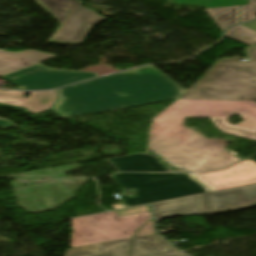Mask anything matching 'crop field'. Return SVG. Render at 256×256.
Returning a JSON list of instances; mask_svg holds the SVG:
<instances>
[{"label": "crop field", "mask_w": 256, "mask_h": 256, "mask_svg": "<svg viewBox=\"0 0 256 256\" xmlns=\"http://www.w3.org/2000/svg\"><path fill=\"white\" fill-rule=\"evenodd\" d=\"M232 112H240L256 130V102L177 99L153 118L148 148L191 172L226 168L240 160L224 149L229 141L207 139L187 129L184 121L187 116L210 117L226 131L256 137V131L224 123Z\"/></svg>", "instance_id": "8a807250"}, {"label": "crop field", "mask_w": 256, "mask_h": 256, "mask_svg": "<svg viewBox=\"0 0 256 256\" xmlns=\"http://www.w3.org/2000/svg\"><path fill=\"white\" fill-rule=\"evenodd\" d=\"M187 90L153 65L57 90L60 118L174 100ZM58 95V96H59Z\"/></svg>", "instance_id": "ac0d7876"}, {"label": "crop field", "mask_w": 256, "mask_h": 256, "mask_svg": "<svg viewBox=\"0 0 256 256\" xmlns=\"http://www.w3.org/2000/svg\"><path fill=\"white\" fill-rule=\"evenodd\" d=\"M193 175L211 189L185 174L121 173L109 178L122 189L134 188L138 197L122 196L128 206H133L256 183V163L245 160L228 169Z\"/></svg>", "instance_id": "34b2d1b8"}, {"label": "crop field", "mask_w": 256, "mask_h": 256, "mask_svg": "<svg viewBox=\"0 0 256 256\" xmlns=\"http://www.w3.org/2000/svg\"><path fill=\"white\" fill-rule=\"evenodd\" d=\"M247 55L218 59L181 98L256 100V46Z\"/></svg>", "instance_id": "412701ff"}, {"label": "crop field", "mask_w": 256, "mask_h": 256, "mask_svg": "<svg viewBox=\"0 0 256 256\" xmlns=\"http://www.w3.org/2000/svg\"><path fill=\"white\" fill-rule=\"evenodd\" d=\"M149 212L118 217L115 212L72 220L70 248L131 237Z\"/></svg>", "instance_id": "f4fd0767"}, {"label": "crop field", "mask_w": 256, "mask_h": 256, "mask_svg": "<svg viewBox=\"0 0 256 256\" xmlns=\"http://www.w3.org/2000/svg\"><path fill=\"white\" fill-rule=\"evenodd\" d=\"M98 76L96 73L52 70L38 64L1 76V78L20 89L34 90L54 88Z\"/></svg>", "instance_id": "dd49c442"}, {"label": "crop field", "mask_w": 256, "mask_h": 256, "mask_svg": "<svg viewBox=\"0 0 256 256\" xmlns=\"http://www.w3.org/2000/svg\"><path fill=\"white\" fill-rule=\"evenodd\" d=\"M104 19L106 18L100 14L80 5L75 13L59 28L49 43L81 45L92 27Z\"/></svg>", "instance_id": "e52e79f7"}, {"label": "crop field", "mask_w": 256, "mask_h": 256, "mask_svg": "<svg viewBox=\"0 0 256 256\" xmlns=\"http://www.w3.org/2000/svg\"><path fill=\"white\" fill-rule=\"evenodd\" d=\"M204 213L256 205V184L203 194Z\"/></svg>", "instance_id": "d8731c3e"}, {"label": "crop field", "mask_w": 256, "mask_h": 256, "mask_svg": "<svg viewBox=\"0 0 256 256\" xmlns=\"http://www.w3.org/2000/svg\"><path fill=\"white\" fill-rule=\"evenodd\" d=\"M24 93H29L30 98H25ZM56 101L57 95L54 90L38 92L0 91V102L26 108L32 113L48 110Z\"/></svg>", "instance_id": "5a996713"}, {"label": "crop field", "mask_w": 256, "mask_h": 256, "mask_svg": "<svg viewBox=\"0 0 256 256\" xmlns=\"http://www.w3.org/2000/svg\"><path fill=\"white\" fill-rule=\"evenodd\" d=\"M55 57V55L36 50H24L18 52L0 50V76Z\"/></svg>", "instance_id": "3316defc"}, {"label": "crop field", "mask_w": 256, "mask_h": 256, "mask_svg": "<svg viewBox=\"0 0 256 256\" xmlns=\"http://www.w3.org/2000/svg\"><path fill=\"white\" fill-rule=\"evenodd\" d=\"M155 204V218L182 214L203 213L202 194Z\"/></svg>", "instance_id": "28ad6ade"}, {"label": "crop field", "mask_w": 256, "mask_h": 256, "mask_svg": "<svg viewBox=\"0 0 256 256\" xmlns=\"http://www.w3.org/2000/svg\"><path fill=\"white\" fill-rule=\"evenodd\" d=\"M117 172L141 171V172H169L162 167L156 157L148 155H131L106 160Z\"/></svg>", "instance_id": "d1516ede"}, {"label": "crop field", "mask_w": 256, "mask_h": 256, "mask_svg": "<svg viewBox=\"0 0 256 256\" xmlns=\"http://www.w3.org/2000/svg\"><path fill=\"white\" fill-rule=\"evenodd\" d=\"M131 238L72 248L64 256H129Z\"/></svg>", "instance_id": "22f410ed"}, {"label": "crop field", "mask_w": 256, "mask_h": 256, "mask_svg": "<svg viewBox=\"0 0 256 256\" xmlns=\"http://www.w3.org/2000/svg\"><path fill=\"white\" fill-rule=\"evenodd\" d=\"M158 235L133 238L132 256H143L158 253L174 252Z\"/></svg>", "instance_id": "cbeb9de0"}, {"label": "crop field", "mask_w": 256, "mask_h": 256, "mask_svg": "<svg viewBox=\"0 0 256 256\" xmlns=\"http://www.w3.org/2000/svg\"><path fill=\"white\" fill-rule=\"evenodd\" d=\"M51 17L62 24L78 6V0H35Z\"/></svg>", "instance_id": "5142ce71"}, {"label": "crop field", "mask_w": 256, "mask_h": 256, "mask_svg": "<svg viewBox=\"0 0 256 256\" xmlns=\"http://www.w3.org/2000/svg\"><path fill=\"white\" fill-rule=\"evenodd\" d=\"M238 9L239 6L210 8L205 10L224 31L226 27L239 23Z\"/></svg>", "instance_id": "d9b57169"}, {"label": "crop field", "mask_w": 256, "mask_h": 256, "mask_svg": "<svg viewBox=\"0 0 256 256\" xmlns=\"http://www.w3.org/2000/svg\"><path fill=\"white\" fill-rule=\"evenodd\" d=\"M225 35L246 45L256 44V32L242 25L230 28Z\"/></svg>", "instance_id": "733c2abd"}, {"label": "crop field", "mask_w": 256, "mask_h": 256, "mask_svg": "<svg viewBox=\"0 0 256 256\" xmlns=\"http://www.w3.org/2000/svg\"><path fill=\"white\" fill-rule=\"evenodd\" d=\"M177 5L194 4L203 8L246 4L247 0H175Z\"/></svg>", "instance_id": "4a817a6b"}, {"label": "crop field", "mask_w": 256, "mask_h": 256, "mask_svg": "<svg viewBox=\"0 0 256 256\" xmlns=\"http://www.w3.org/2000/svg\"><path fill=\"white\" fill-rule=\"evenodd\" d=\"M256 19V0H250L249 5L241 6V23Z\"/></svg>", "instance_id": "bc2a9ffb"}, {"label": "crop field", "mask_w": 256, "mask_h": 256, "mask_svg": "<svg viewBox=\"0 0 256 256\" xmlns=\"http://www.w3.org/2000/svg\"><path fill=\"white\" fill-rule=\"evenodd\" d=\"M153 223L154 221L152 220L146 222L140 229L137 230L133 237L156 234L153 228Z\"/></svg>", "instance_id": "214f88e0"}, {"label": "crop field", "mask_w": 256, "mask_h": 256, "mask_svg": "<svg viewBox=\"0 0 256 256\" xmlns=\"http://www.w3.org/2000/svg\"><path fill=\"white\" fill-rule=\"evenodd\" d=\"M145 211H149V206L117 211L116 213L118 216H121V215H127V214H133V213H139V212H145Z\"/></svg>", "instance_id": "92a150f3"}, {"label": "crop field", "mask_w": 256, "mask_h": 256, "mask_svg": "<svg viewBox=\"0 0 256 256\" xmlns=\"http://www.w3.org/2000/svg\"><path fill=\"white\" fill-rule=\"evenodd\" d=\"M235 114H238V115H240V116L243 118V116H242L240 113H232V114H229L227 117H225V118L223 119V120L225 121V123H226V124H230L226 119L229 118V117L232 116V115H235ZM243 119H244V118H243ZM230 125H231V124H230ZM237 126L254 130V129L250 126V124H249L245 119H244L243 122H241V123L238 124Z\"/></svg>", "instance_id": "dafd665d"}, {"label": "crop field", "mask_w": 256, "mask_h": 256, "mask_svg": "<svg viewBox=\"0 0 256 256\" xmlns=\"http://www.w3.org/2000/svg\"><path fill=\"white\" fill-rule=\"evenodd\" d=\"M7 127H17L14 124H12L11 122L5 120V119H1L0 118V128H7Z\"/></svg>", "instance_id": "00972430"}, {"label": "crop field", "mask_w": 256, "mask_h": 256, "mask_svg": "<svg viewBox=\"0 0 256 256\" xmlns=\"http://www.w3.org/2000/svg\"><path fill=\"white\" fill-rule=\"evenodd\" d=\"M151 256H186V255L179 252H174V253L158 254V255H151Z\"/></svg>", "instance_id": "a9b5d70f"}, {"label": "crop field", "mask_w": 256, "mask_h": 256, "mask_svg": "<svg viewBox=\"0 0 256 256\" xmlns=\"http://www.w3.org/2000/svg\"><path fill=\"white\" fill-rule=\"evenodd\" d=\"M244 26H247L253 30H256V21L251 22V23H247V24H243Z\"/></svg>", "instance_id": "4177f3b9"}, {"label": "crop field", "mask_w": 256, "mask_h": 256, "mask_svg": "<svg viewBox=\"0 0 256 256\" xmlns=\"http://www.w3.org/2000/svg\"><path fill=\"white\" fill-rule=\"evenodd\" d=\"M112 207H113V209H117V208H124L126 206L123 204V202H121V203H118L116 205H112Z\"/></svg>", "instance_id": "730fd06b"}, {"label": "crop field", "mask_w": 256, "mask_h": 256, "mask_svg": "<svg viewBox=\"0 0 256 256\" xmlns=\"http://www.w3.org/2000/svg\"><path fill=\"white\" fill-rule=\"evenodd\" d=\"M222 132H225L224 130L220 129ZM225 133H229V132H225ZM230 134H233V133H230ZM234 135H237V134H234ZM238 136H242V137H246V138H250V139H254L256 140V138H252V137H248V136H243V135H238Z\"/></svg>", "instance_id": "eef30255"}]
</instances>
